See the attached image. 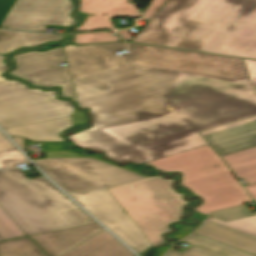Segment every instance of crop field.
<instances>
[{
	"label": "crop field",
	"mask_w": 256,
	"mask_h": 256,
	"mask_svg": "<svg viewBox=\"0 0 256 256\" xmlns=\"http://www.w3.org/2000/svg\"><path fill=\"white\" fill-rule=\"evenodd\" d=\"M73 83L79 107L93 111L94 127L70 141L121 163L209 144L199 132L256 115L249 78L131 65Z\"/></svg>",
	"instance_id": "8a807250"
},
{
	"label": "crop field",
	"mask_w": 256,
	"mask_h": 256,
	"mask_svg": "<svg viewBox=\"0 0 256 256\" xmlns=\"http://www.w3.org/2000/svg\"><path fill=\"white\" fill-rule=\"evenodd\" d=\"M132 42L256 59V0H169Z\"/></svg>",
	"instance_id": "ac0d7876"
},
{
	"label": "crop field",
	"mask_w": 256,
	"mask_h": 256,
	"mask_svg": "<svg viewBox=\"0 0 256 256\" xmlns=\"http://www.w3.org/2000/svg\"><path fill=\"white\" fill-rule=\"evenodd\" d=\"M48 159L34 162L80 205L100 220L140 255L151 245L107 190L109 187L149 177L148 170L120 167L101 154L81 156L67 142H41Z\"/></svg>",
	"instance_id": "34b2d1b8"
},
{
	"label": "crop field",
	"mask_w": 256,
	"mask_h": 256,
	"mask_svg": "<svg viewBox=\"0 0 256 256\" xmlns=\"http://www.w3.org/2000/svg\"><path fill=\"white\" fill-rule=\"evenodd\" d=\"M131 54L117 57L125 49L121 42L75 47L65 46L64 52L72 80L97 75L136 64L231 79L249 77L242 59L171 50L128 43Z\"/></svg>",
	"instance_id": "412701ff"
},
{
	"label": "crop field",
	"mask_w": 256,
	"mask_h": 256,
	"mask_svg": "<svg viewBox=\"0 0 256 256\" xmlns=\"http://www.w3.org/2000/svg\"><path fill=\"white\" fill-rule=\"evenodd\" d=\"M0 206L27 236L95 223L44 176L19 168L0 173Z\"/></svg>",
	"instance_id": "f4fd0767"
},
{
	"label": "crop field",
	"mask_w": 256,
	"mask_h": 256,
	"mask_svg": "<svg viewBox=\"0 0 256 256\" xmlns=\"http://www.w3.org/2000/svg\"><path fill=\"white\" fill-rule=\"evenodd\" d=\"M175 186H177V177L168 180L162 176H156L109 188V190L155 247L165 242L161 237L163 233L173 231L168 227L171 223L183 221L180 219L185 215L183 207L200 202V200L184 201L185 194L174 191Z\"/></svg>",
	"instance_id": "dd49c442"
},
{
	"label": "crop field",
	"mask_w": 256,
	"mask_h": 256,
	"mask_svg": "<svg viewBox=\"0 0 256 256\" xmlns=\"http://www.w3.org/2000/svg\"><path fill=\"white\" fill-rule=\"evenodd\" d=\"M145 164L152 165L155 171H180V186L203 198V204L246 194L209 145Z\"/></svg>",
	"instance_id": "e52e79f7"
},
{
	"label": "crop field",
	"mask_w": 256,
	"mask_h": 256,
	"mask_svg": "<svg viewBox=\"0 0 256 256\" xmlns=\"http://www.w3.org/2000/svg\"><path fill=\"white\" fill-rule=\"evenodd\" d=\"M0 55V126L2 128L69 117L74 107L56 99L57 91L29 89L20 81H9L1 74L10 69Z\"/></svg>",
	"instance_id": "d8731c3e"
},
{
	"label": "crop field",
	"mask_w": 256,
	"mask_h": 256,
	"mask_svg": "<svg viewBox=\"0 0 256 256\" xmlns=\"http://www.w3.org/2000/svg\"><path fill=\"white\" fill-rule=\"evenodd\" d=\"M12 58L16 69L9 75L27 80L33 86H60L61 97H71L77 103L69 68L58 66L66 61L62 47L45 52L28 51Z\"/></svg>",
	"instance_id": "5a996713"
},
{
	"label": "crop field",
	"mask_w": 256,
	"mask_h": 256,
	"mask_svg": "<svg viewBox=\"0 0 256 256\" xmlns=\"http://www.w3.org/2000/svg\"><path fill=\"white\" fill-rule=\"evenodd\" d=\"M72 0H17L2 26L15 30L45 32L46 25L72 26Z\"/></svg>",
	"instance_id": "3316defc"
},
{
	"label": "crop field",
	"mask_w": 256,
	"mask_h": 256,
	"mask_svg": "<svg viewBox=\"0 0 256 256\" xmlns=\"http://www.w3.org/2000/svg\"><path fill=\"white\" fill-rule=\"evenodd\" d=\"M256 92V61L243 59ZM201 134L223 156L256 146V116L213 128Z\"/></svg>",
	"instance_id": "28ad6ade"
},
{
	"label": "crop field",
	"mask_w": 256,
	"mask_h": 256,
	"mask_svg": "<svg viewBox=\"0 0 256 256\" xmlns=\"http://www.w3.org/2000/svg\"><path fill=\"white\" fill-rule=\"evenodd\" d=\"M86 110L76 109L69 118L4 129L8 135L24 137L31 141L64 142L62 133L72 132L73 127L89 126Z\"/></svg>",
	"instance_id": "d1516ede"
},
{
	"label": "crop field",
	"mask_w": 256,
	"mask_h": 256,
	"mask_svg": "<svg viewBox=\"0 0 256 256\" xmlns=\"http://www.w3.org/2000/svg\"><path fill=\"white\" fill-rule=\"evenodd\" d=\"M79 12L87 13L88 18L74 32L114 28L110 17L140 16L127 0H82ZM104 13L108 16H102Z\"/></svg>",
	"instance_id": "22f410ed"
},
{
	"label": "crop field",
	"mask_w": 256,
	"mask_h": 256,
	"mask_svg": "<svg viewBox=\"0 0 256 256\" xmlns=\"http://www.w3.org/2000/svg\"><path fill=\"white\" fill-rule=\"evenodd\" d=\"M102 229H104L102 226L95 223L35 235L30 238L37 242L43 251L50 256H60Z\"/></svg>",
	"instance_id": "cbeb9de0"
},
{
	"label": "crop field",
	"mask_w": 256,
	"mask_h": 256,
	"mask_svg": "<svg viewBox=\"0 0 256 256\" xmlns=\"http://www.w3.org/2000/svg\"><path fill=\"white\" fill-rule=\"evenodd\" d=\"M30 162L13 145V143L0 131V168L6 170L16 168V165ZM1 171V169H0ZM0 236L4 240L15 239L26 236L22 230L11 220V218L0 207Z\"/></svg>",
	"instance_id": "5142ce71"
},
{
	"label": "crop field",
	"mask_w": 256,
	"mask_h": 256,
	"mask_svg": "<svg viewBox=\"0 0 256 256\" xmlns=\"http://www.w3.org/2000/svg\"><path fill=\"white\" fill-rule=\"evenodd\" d=\"M63 256H134L106 231Z\"/></svg>",
	"instance_id": "d9b57169"
},
{
	"label": "crop field",
	"mask_w": 256,
	"mask_h": 256,
	"mask_svg": "<svg viewBox=\"0 0 256 256\" xmlns=\"http://www.w3.org/2000/svg\"><path fill=\"white\" fill-rule=\"evenodd\" d=\"M183 241L194 247L183 253L172 248L166 256H255L196 234Z\"/></svg>",
	"instance_id": "733c2abd"
},
{
	"label": "crop field",
	"mask_w": 256,
	"mask_h": 256,
	"mask_svg": "<svg viewBox=\"0 0 256 256\" xmlns=\"http://www.w3.org/2000/svg\"><path fill=\"white\" fill-rule=\"evenodd\" d=\"M63 36L0 30V54L6 55L22 47H36L49 42H59Z\"/></svg>",
	"instance_id": "4a817a6b"
},
{
	"label": "crop field",
	"mask_w": 256,
	"mask_h": 256,
	"mask_svg": "<svg viewBox=\"0 0 256 256\" xmlns=\"http://www.w3.org/2000/svg\"><path fill=\"white\" fill-rule=\"evenodd\" d=\"M196 234L230 245L256 255V239L221 228L211 223L204 224Z\"/></svg>",
	"instance_id": "bc2a9ffb"
},
{
	"label": "crop field",
	"mask_w": 256,
	"mask_h": 256,
	"mask_svg": "<svg viewBox=\"0 0 256 256\" xmlns=\"http://www.w3.org/2000/svg\"><path fill=\"white\" fill-rule=\"evenodd\" d=\"M239 180L248 184L256 182V147L223 156Z\"/></svg>",
	"instance_id": "214f88e0"
},
{
	"label": "crop field",
	"mask_w": 256,
	"mask_h": 256,
	"mask_svg": "<svg viewBox=\"0 0 256 256\" xmlns=\"http://www.w3.org/2000/svg\"><path fill=\"white\" fill-rule=\"evenodd\" d=\"M41 251L28 237L0 242V256H46Z\"/></svg>",
	"instance_id": "92a150f3"
},
{
	"label": "crop field",
	"mask_w": 256,
	"mask_h": 256,
	"mask_svg": "<svg viewBox=\"0 0 256 256\" xmlns=\"http://www.w3.org/2000/svg\"><path fill=\"white\" fill-rule=\"evenodd\" d=\"M208 220L226 227L237 229L241 232L256 237V215L228 222H224L212 217H210Z\"/></svg>",
	"instance_id": "dafd665d"
},
{
	"label": "crop field",
	"mask_w": 256,
	"mask_h": 256,
	"mask_svg": "<svg viewBox=\"0 0 256 256\" xmlns=\"http://www.w3.org/2000/svg\"><path fill=\"white\" fill-rule=\"evenodd\" d=\"M74 35V43L76 45L120 41L118 36H111L109 31L79 33Z\"/></svg>",
	"instance_id": "00972430"
},
{
	"label": "crop field",
	"mask_w": 256,
	"mask_h": 256,
	"mask_svg": "<svg viewBox=\"0 0 256 256\" xmlns=\"http://www.w3.org/2000/svg\"><path fill=\"white\" fill-rule=\"evenodd\" d=\"M249 201H251V199L248 196V194H246V195L239 196V197H236L233 199L199 206L196 209H194V211H198V212L208 215L212 211H217V210H221V209H225V208H229V207H233V206H237V205H242L243 203H246Z\"/></svg>",
	"instance_id": "a9b5d70f"
},
{
	"label": "crop field",
	"mask_w": 256,
	"mask_h": 256,
	"mask_svg": "<svg viewBox=\"0 0 256 256\" xmlns=\"http://www.w3.org/2000/svg\"><path fill=\"white\" fill-rule=\"evenodd\" d=\"M255 214H256V212L251 213L248 210V208L245 206L242 208H236V209L216 212V213L212 214L211 216L221 219V220H224V221H228V220L251 216V215H255Z\"/></svg>",
	"instance_id": "4177f3b9"
},
{
	"label": "crop field",
	"mask_w": 256,
	"mask_h": 256,
	"mask_svg": "<svg viewBox=\"0 0 256 256\" xmlns=\"http://www.w3.org/2000/svg\"><path fill=\"white\" fill-rule=\"evenodd\" d=\"M168 0H152L149 7L142 12L146 23L159 11V9L167 2Z\"/></svg>",
	"instance_id": "730fd06b"
},
{
	"label": "crop field",
	"mask_w": 256,
	"mask_h": 256,
	"mask_svg": "<svg viewBox=\"0 0 256 256\" xmlns=\"http://www.w3.org/2000/svg\"><path fill=\"white\" fill-rule=\"evenodd\" d=\"M16 0H0V26Z\"/></svg>",
	"instance_id": "eef30255"
},
{
	"label": "crop field",
	"mask_w": 256,
	"mask_h": 256,
	"mask_svg": "<svg viewBox=\"0 0 256 256\" xmlns=\"http://www.w3.org/2000/svg\"><path fill=\"white\" fill-rule=\"evenodd\" d=\"M190 232L188 231H185V230H182L180 229L179 231H177L176 233L170 235L178 240L182 239L184 236H186L187 234H189Z\"/></svg>",
	"instance_id": "ae1a2a85"
},
{
	"label": "crop field",
	"mask_w": 256,
	"mask_h": 256,
	"mask_svg": "<svg viewBox=\"0 0 256 256\" xmlns=\"http://www.w3.org/2000/svg\"><path fill=\"white\" fill-rule=\"evenodd\" d=\"M191 213H192V219H197V220H201V221H203L207 216L206 215H203V214H201V213H198V212H194V211H190Z\"/></svg>",
	"instance_id": "d3111659"
},
{
	"label": "crop field",
	"mask_w": 256,
	"mask_h": 256,
	"mask_svg": "<svg viewBox=\"0 0 256 256\" xmlns=\"http://www.w3.org/2000/svg\"><path fill=\"white\" fill-rule=\"evenodd\" d=\"M199 225H200V223H197L195 226H186V225H184V224H178L177 227L192 232V231H194Z\"/></svg>",
	"instance_id": "750c4746"
},
{
	"label": "crop field",
	"mask_w": 256,
	"mask_h": 256,
	"mask_svg": "<svg viewBox=\"0 0 256 256\" xmlns=\"http://www.w3.org/2000/svg\"><path fill=\"white\" fill-rule=\"evenodd\" d=\"M12 139L19 145V147H20L21 149L26 148L25 145H24V141H25L26 139H24V138H16V137H12Z\"/></svg>",
	"instance_id": "bd1437ed"
},
{
	"label": "crop field",
	"mask_w": 256,
	"mask_h": 256,
	"mask_svg": "<svg viewBox=\"0 0 256 256\" xmlns=\"http://www.w3.org/2000/svg\"><path fill=\"white\" fill-rule=\"evenodd\" d=\"M120 34L123 36V38H124L125 40H130V39H132V36L130 35V33H129L128 30H126V29L120 30Z\"/></svg>",
	"instance_id": "1d83c4d3"
},
{
	"label": "crop field",
	"mask_w": 256,
	"mask_h": 256,
	"mask_svg": "<svg viewBox=\"0 0 256 256\" xmlns=\"http://www.w3.org/2000/svg\"><path fill=\"white\" fill-rule=\"evenodd\" d=\"M248 191L251 193V195L255 198L256 200V185H252L250 187H247Z\"/></svg>",
	"instance_id": "120bbe31"
},
{
	"label": "crop field",
	"mask_w": 256,
	"mask_h": 256,
	"mask_svg": "<svg viewBox=\"0 0 256 256\" xmlns=\"http://www.w3.org/2000/svg\"><path fill=\"white\" fill-rule=\"evenodd\" d=\"M168 250V248L163 247L160 249H156V251L158 252V254L161 256L162 254H164L166 251Z\"/></svg>",
	"instance_id": "d32e631a"
},
{
	"label": "crop field",
	"mask_w": 256,
	"mask_h": 256,
	"mask_svg": "<svg viewBox=\"0 0 256 256\" xmlns=\"http://www.w3.org/2000/svg\"><path fill=\"white\" fill-rule=\"evenodd\" d=\"M3 239L0 237V241H2Z\"/></svg>",
	"instance_id": "5866460e"
}]
</instances>
